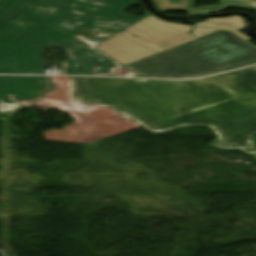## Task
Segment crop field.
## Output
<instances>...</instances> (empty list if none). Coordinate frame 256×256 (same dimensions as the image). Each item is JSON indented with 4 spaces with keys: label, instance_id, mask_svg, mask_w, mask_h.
I'll list each match as a JSON object with an SVG mask.
<instances>
[{
    "label": "crop field",
    "instance_id": "5",
    "mask_svg": "<svg viewBox=\"0 0 256 256\" xmlns=\"http://www.w3.org/2000/svg\"><path fill=\"white\" fill-rule=\"evenodd\" d=\"M190 124H204L215 131L219 137L210 146L226 150L241 149L256 157L252 143V134L256 133V94L145 128L151 132H163Z\"/></svg>",
    "mask_w": 256,
    "mask_h": 256
},
{
    "label": "crop field",
    "instance_id": "13",
    "mask_svg": "<svg viewBox=\"0 0 256 256\" xmlns=\"http://www.w3.org/2000/svg\"><path fill=\"white\" fill-rule=\"evenodd\" d=\"M255 29H256V27H255Z\"/></svg>",
    "mask_w": 256,
    "mask_h": 256
},
{
    "label": "crop field",
    "instance_id": "10",
    "mask_svg": "<svg viewBox=\"0 0 256 256\" xmlns=\"http://www.w3.org/2000/svg\"><path fill=\"white\" fill-rule=\"evenodd\" d=\"M50 88H22L25 103L9 104L10 113L20 111L26 107L35 110H65V111H78L80 110L75 103L67 106H53L45 101V93Z\"/></svg>",
    "mask_w": 256,
    "mask_h": 256
},
{
    "label": "crop field",
    "instance_id": "6",
    "mask_svg": "<svg viewBox=\"0 0 256 256\" xmlns=\"http://www.w3.org/2000/svg\"><path fill=\"white\" fill-rule=\"evenodd\" d=\"M72 99L82 110L111 106L143 126L171 117L134 81L72 78Z\"/></svg>",
    "mask_w": 256,
    "mask_h": 256
},
{
    "label": "crop field",
    "instance_id": "8",
    "mask_svg": "<svg viewBox=\"0 0 256 256\" xmlns=\"http://www.w3.org/2000/svg\"><path fill=\"white\" fill-rule=\"evenodd\" d=\"M8 77L9 80H4ZM51 77L0 76V120L9 113L8 103L24 102L21 87H49Z\"/></svg>",
    "mask_w": 256,
    "mask_h": 256
},
{
    "label": "crop field",
    "instance_id": "2",
    "mask_svg": "<svg viewBox=\"0 0 256 256\" xmlns=\"http://www.w3.org/2000/svg\"><path fill=\"white\" fill-rule=\"evenodd\" d=\"M256 63V49L220 31L125 65L142 77L193 78Z\"/></svg>",
    "mask_w": 256,
    "mask_h": 256
},
{
    "label": "crop field",
    "instance_id": "7",
    "mask_svg": "<svg viewBox=\"0 0 256 256\" xmlns=\"http://www.w3.org/2000/svg\"><path fill=\"white\" fill-rule=\"evenodd\" d=\"M162 22L152 16L101 44L98 47L106 54L125 65L133 61L173 48L188 41L220 31L216 29L193 28ZM132 34L139 38L132 37Z\"/></svg>",
    "mask_w": 256,
    "mask_h": 256
},
{
    "label": "crop field",
    "instance_id": "1",
    "mask_svg": "<svg viewBox=\"0 0 256 256\" xmlns=\"http://www.w3.org/2000/svg\"><path fill=\"white\" fill-rule=\"evenodd\" d=\"M65 52L70 74L119 76L125 68L20 0L0 4V74H45L42 50Z\"/></svg>",
    "mask_w": 256,
    "mask_h": 256
},
{
    "label": "crop field",
    "instance_id": "4",
    "mask_svg": "<svg viewBox=\"0 0 256 256\" xmlns=\"http://www.w3.org/2000/svg\"><path fill=\"white\" fill-rule=\"evenodd\" d=\"M21 1L95 46L142 19L124 13L140 0Z\"/></svg>",
    "mask_w": 256,
    "mask_h": 256
},
{
    "label": "crop field",
    "instance_id": "3",
    "mask_svg": "<svg viewBox=\"0 0 256 256\" xmlns=\"http://www.w3.org/2000/svg\"><path fill=\"white\" fill-rule=\"evenodd\" d=\"M135 81L174 118L256 93V67L199 80Z\"/></svg>",
    "mask_w": 256,
    "mask_h": 256
},
{
    "label": "crop field",
    "instance_id": "11",
    "mask_svg": "<svg viewBox=\"0 0 256 256\" xmlns=\"http://www.w3.org/2000/svg\"><path fill=\"white\" fill-rule=\"evenodd\" d=\"M199 26L215 27L232 30L241 37L250 40L247 36L239 32L241 29L245 28V21L240 16H231L229 18H218V19H209L205 22L197 24Z\"/></svg>",
    "mask_w": 256,
    "mask_h": 256
},
{
    "label": "crop field",
    "instance_id": "9",
    "mask_svg": "<svg viewBox=\"0 0 256 256\" xmlns=\"http://www.w3.org/2000/svg\"><path fill=\"white\" fill-rule=\"evenodd\" d=\"M161 11H182L189 15L214 13L225 10L228 7L250 8L255 1L251 0H219L218 5L194 7L195 0H151Z\"/></svg>",
    "mask_w": 256,
    "mask_h": 256
},
{
    "label": "crop field",
    "instance_id": "12",
    "mask_svg": "<svg viewBox=\"0 0 256 256\" xmlns=\"http://www.w3.org/2000/svg\"><path fill=\"white\" fill-rule=\"evenodd\" d=\"M251 8L256 9V2L254 3V5Z\"/></svg>",
    "mask_w": 256,
    "mask_h": 256
}]
</instances>
